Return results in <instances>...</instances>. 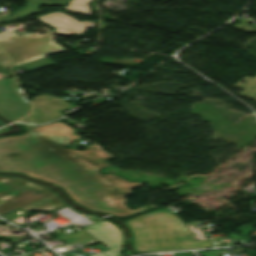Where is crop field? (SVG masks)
<instances>
[{
    "mask_svg": "<svg viewBox=\"0 0 256 256\" xmlns=\"http://www.w3.org/2000/svg\"><path fill=\"white\" fill-rule=\"evenodd\" d=\"M77 139L79 135L61 121L29 129L20 137L0 138V171L26 173L57 184L77 203L116 216L149 208L131 210L124 205L128 202L124 198L131 195L129 188L142 183L97 171L108 167L107 160L114 158L99 144L89 145L86 151L62 148Z\"/></svg>",
    "mask_w": 256,
    "mask_h": 256,
    "instance_id": "8a807250",
    "label": "crop field"
},
{
    "mask_svg": "<svg viewBox=\"0 0 256 256\" xmlns=\"http://www.w3.org/2000/svg\"><path fill=\"white\" fill-rule=\"evenodd\" d=\"M125 224L132 234L134 252L213 247L209 241H196L182 220L171 213H148Z\"/></svg>",
    "mask_w": 256,
    "mask_h": 256,
    "instance_id": "ac0d7876",
    "label": "crop field"
},
{
    "mask_svg": "<svg viewBox=\"0 0 256 256\" xmlns=\"http://www.w3.org/2000/svg\"><path fill=\"white\" fill-rule=\"evenodd\" d=\"M0 215L15 208L26 211L53 210L64 203L49 190L15 177L0 176Z\"/></svg>",
    "mask_w": 256,
    "mask_h": 256,
    "instance_id": "34b2d1b8",
    "label": "crop field"
},
{
    "mask_svg": "<svg viewBox=\"0 0 256 256\" xmlns=\"http://www.w3.org/2000/svg\"><path fill=\"white\" fill-rule=\"evenodd\" d=\"M24 35L18 36L12 31L0 35V46L13 58V67L48 54L66 52L54 42L50 32L30 38Z\"/></svg>",
    "mask_w": 256,
    "mask_h": 256,
    "instance_id": "412701ff",
    "label": "crop field"
},
{
    "mask_svg": "<svg viewBox=\"0 0 256 256\" xmlns=\"http://www.w3.org/2000/svg\"><path fill=\"white\" fill-rule=\"evenodd\" d=\"M22 94L13 77L0 80V114L11 122L30 111L28 101Z\"/></svg>",
    "mask_w": 256,
    "mask_h": 256,
    "instance_id": "f4fd0767",
    "label": "crop field"
},
{
    "mask_svg": "<svg viewBox=\"0 0 256 256\" xmlns=\"http://www.w3.org/2000/svg\"><path fill=\"white\" fill-rule=\"evenodd\" d=\"M110 250L102 252L104 256H118L123 237L120 229L111 222L103 220L84 228Z\"/></svg>",
    "mask_w": 256,
    "mask_h": 256,
    "instance_id": "dd49c442",
    "label": "crop field"
},
{
    "mask_svg": "<svg viewBox=\"0 0 256 256\" xmlns=\"http://www.w3.org/2000/svg\"><path fill=\"white\" fill-rule=\"evenodd\" d=\"M38 19L55 28V32L62 35L74 33L76 36L81 34L87 28L94 27L95 23L84 21L82 23L76 21L72 17H68L63 13L55 12L39 16Z\"/></svg>",
    "mask_w": 256,
    "mask_h": 256,
    "instance_id": "e52e79f7",
    "label": "crop field"
},
{
    "mask_svg": "<svg viewBox=\"0 0 256 256\" xmlns=\"http://www.w3.org/2000/svg\"><path fill=\"white\" fill-rule=\"evenodd\" d=\"M241 81H245V83H241ZM234 86L244 89L241 93H239V95L256 100V76H245L234 84Z\"/></svg>",
    "mask_w": 256,
    "mask_h": 256,
    "instance_id": "d8731c3e",
    "label": "crop field"
},
{
    "mask_svg": "<svg viewBox=\"0 0 256 256\" xmlns=\"http://www.w3.org/2000/svg\"><path fill=\"white\" fill-rule=\"evenodd\" d=\"M86 2H91V0H72L65 9L73 10L85 15H92V13L89 12V6L86 5Z\"/></svg>",
    "mask_w": 256,
    "mask_h": 256,
    "instance_id": "5a996713",
    "label": "crop field"
},
{
    "mask_svg": "<svg viewBox=\"0 0 256 256\" xmlns=\"http://www.w3.org/2000/svg\"><path fill=\"white\" fill-rule=\"evenodd\" d=\"M33 3L45 4V5H63L70 0H24Z\"/></svg>",
    "mask_w": 256,
    "mask_h": 256,
    "instance_id": "3316defc",
    "label": "crop field"
},
{
    "mask_svg": "<svg viewBox=\"0 0 256 256\" xmlns=\"http://www.w3.org/2000/svg\"><path fill=\"white\" fill-rule=\"evenodd\" d=\"M10 66L9 58L0 50V70L7 69Z\"/></svg>",
    "mask_w": 256,
    "mask_h": 256,
    "instance_id": "28ad6ade",
    "label": "crop field"
},
{
    "mask_svg": "<svg viewBox=\"0 0 256 256\" xmlns=\"http://www.w3.org/2000/svg\"><path fill=\"white\" fill-rule=\"evenodd\" d=\"M2 202H4V201L0 200V203H2Z\"/></svg>",
    "mask_w": 256,
    "mask_h": 256,
    "instance_id": "d1516ede",
    "label": "crop field"
},
{
    "mask_svg": "<svg viewBox=\"0 0 256 256\" xmlns=\"http://www.w3.org/2000/svg\"><path fill=\"white\" fill-rule=\"evenodd\" d=\"M24 256H29L28 254L24 255Z\"/></svg>",
    "mask_w": 256,
    "mask_h": 256,
    "instance_id": "22f410ed",
    "label": "crop field"
}]
</instances>
